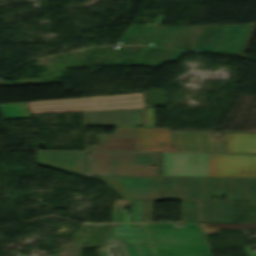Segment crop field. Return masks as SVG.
<instances>
[{"label": "crop field", "instance_id": "1", "mask_svg": "<svg viewBox=\"0 0 256 256\" xmlns=\"http://www.w3.org/2000/svg\"><path fill=\"white\" fill-rule=\"evenodd\" d=\"M204 26L206 27L198 38ZM251 26H160L151 45L185 51L147 47L138 65L160 66L165 62H174L183 52L189 50L242 55L244 43ZM197 38L198 40L196 41Z\"/></svg>", "mask_w": 256, "mask_h": 256}, {"label": "crop field", "instance_id": "2", "mask_svg": "<svg viewBox=\"0 0 256 256\" xmlns=\"http://www.w3.org/2000/svg\"><path fill=\"white\" fill-rule=\"evenodd\" d=\"M211 194L256 199V178L162 177V200L211 199Z\"/></svg>", "mask_w": 256, "mask_h": 256}, {"label": "crop field", "instance_id": "3", "mask_svg": "<svg viewBox=\"0 0 256 256\" xmlns=\"http://www.w3.org/2000/svg\"><path fill=\"white\" fill-rule=\"evenodd\" d=\"M135 125L156 127L154 108L86 112V126H116L114 135L96 134L87 150L135 151Z\"/></svg>", "mask_w": 256, "mask_h": 256}, {"label": "crop field", "instance_id": "4", "mask_svg": "<svg viewBox=\"0 0 256 256\" xmlns=\"http://www.w3.org/2000/svg\"><path fill=\"white\" fill-rule=\"evenodd\" d=\"M145 225L159 256H211L203 235L196 224Z\"/></svg>", "mask_w": 256, "mask_h": 256}, {"label": "crop field", "instance_id": "5", "mask_svg": "<svg viewBox=\"0 0 256 256\" xmlns=\"http://www.w3.org/2000/svg\"><path fill=\"white\" fill-rule=\"evenodd\" d=\"M137 131V150L224 151L219 133L169 132L167 128H137ZM171 139L177 149H173Z\"/></svg>", "mask_w": 256, "mask_h": 256}, {"label": "crop field", "instance_id": "6", "mask_svg": "<svg viewBox=\"0 0 256 256\" xmlns=\"http://www.w3.org/2000/svg\"><path fill=\"white\" fill-rule=\"evenodd\" d=\"M31 113L144 108L143 93L28 102Z\"/></svg>", "mask_w": 256, "mask_h": 256}, {"label": "crop field", "instance_id": "7", "mask_svg": "<svg viewBox=\"0 0 256 256\" xmlns=\"http://www.w3.org/2000/svg\"><path fill=\"white\" fill-rule=\"evenodd\" d=\"M151 164L157 167L151 169ZM87 172L160 176V153H88Z\"/></svg>", "mask_w": 256, "mask_h": 256}, {"label": "crop field", "instance_id": "8", "mask_svg": "<svg viewBox=\"0 0 256 256\" xmlns=\"http://www.w3.org/2000/svg\"><path fill=\"white\" fill-rule=\"evenodd\" d=\"M143 224H113L102 245V256H156L150 243L127 245L125 241H148Z\"/></svg>", "mask_w": 256, "mask_h": 256}, {"label": "crop field", "instance_id": "9", "mask_svg": "<svg viewBox=\"0 0 256 256\" xmlns=\"http://www.w3.org/2000/svg\"><path fill=\"white\" fill-rule=\"evenodd\" d=\"M200 201V221H195ZM183 223L232 222L233 200H182Z\"/></svg>", "mask_w": 256, "mask_h": 256}, {"label": "crop field", "instance_id": "10", "mask_svg": "<svg viewBox=\"0 0 256 256\" xmlns=\"http://www.w3.org/2000/svg\"><path fill=\"white\" fill-rule=\"evenodd\" d=\"M123 199L159 198V177L103 176Z\"/></svg>", "mask_w": 256, "mask_h": 256}, {"label": "crop field", "instance_id": "11", "mask_svg": "<svg viewBox=\"0 0 256 256\" xmlns=\"http://www.w3.org/2000/svg\"><path fill=\"white\" fill-rule=\"evenodd\" d=\"M208 176L256 177V156L209 155Z\"/></svg>", "mask_w": 256, "mask_h": 256}, {"label": "crop field", "instance_id": "12", "mask_svg": "<svg viewBox=\"0 0 256 256\" xmlns=\"http://www.w3.org/2000/svg\"><path fill=\"white\" fill-rule=\"evenodd\" d=\"M208 155L162 153L161 176H207Z\"/></svg>", "mask_w": 256, "mask_h": 256}, {"label": "crop field", "instance_id": "13", "mask_svg": "<svg viewBox=\"0 0 256 256\" xmlns=\"http://www.w3.org/2000/svg\"><path fill=\"white\" fill-rule=\"evenodd\" d=\"M37 161L41 165L63 171L85 175L86 158L81 152H38Z\"/></svg>", "mask_w": 256, "mask_h": 256}, {"label": "crop field", "instance_id": "14", "mask_svg": "<svg viewBox=\"0 0 256 256\" xmlns=\"http://www.w3.org/2000/svg\"><path fill=\"white\" fill-rule=\"evenodd\" d=\"M227 152L256 153V133H222Z\"/></svg>", "mask_w": 256, "mask_h": 256}, {"label": "crop field", "instance_id": "15", "mask_svg": "<svg viewBox=\"0 0 256 256\" xmlns=\"http://www.w3.org/2000/svg\"><path fill=\"white\" fill-rule=\"evenodd\" d=\"M145 46H118L104 65H135Z\"/></svg>", "mask_w": 256, "mask_h": 256}, {"label": "crop field", "instance_id": "16", "mask_svg": "<svg viewBox=\"0 0 256 256\" xmlns=\"http://www.w3.org/2000/svg\"><path fill=\"white\" fill-rule=\"evenodd\" d=\"M129 201H131V222H142L143 200H116L112 211L113 222H128V215L123 208Z\"/></svg>", "mask_w": 256, "mask_h": 256}, {"label": "crop field", "instance_id": "17", "mask_svg": "<svg viewBox=\"0 0 256 256\" xmlns=\"http://www.w3.org/2000/svg\"><path fill=\"white\" fill-rule=\"evenodd\" d=\"M157 26H130L119 44H148Z\"/></svg>", "mask_w": 256, "mask_h": 256}, {"label": "crop field", "instance_id": "18", "mask_svg": "<svg viewBox=\"0 0 256 256\" xmlns=\"http://www.w3.org/2000/svg\"><path fill=\"white\" fill-rule=\"evenodd\" d=\"M0 108L4 119L30 118L27 102L0 104Z\"/></svg>", "mask_w": 256, "mask_h": 256}, {"label": "crop field", "instance_id": "19", "mask_svg": "<svg viewBox=\"0 0 256 256\" xmlns=\"http://www.w3.org/2000/svg\"><path fill=\"white\" fill-rule=\"evenodd\" d=\"M145 222H150V200H145Z\"/></svg>", "mask_w": 256, "mask_h": 256}, {"label": "crop field", "instance_id": "20", "mask_svg": "<svg viewBox=\"0 0 256 256\" xmlns=\"http://www.w3.org/2000/svg\"><path fill=\"white\" fill-rule=\"evenodd\" d=\"M253 247H256V246H251V247H247V248H248L249 253H250L251 256H256V253L251 251V248H253Z\"/></svg>", "mask_w": 256, "mask_h": 256}]
</instances>
